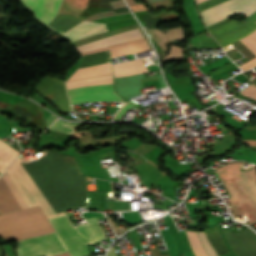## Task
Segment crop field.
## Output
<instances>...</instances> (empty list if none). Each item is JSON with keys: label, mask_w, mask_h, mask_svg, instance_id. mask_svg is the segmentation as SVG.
I'll return each mask as SVG.
<instances>
[{"label": "crop field", "mask_w": 256, "mask_h": 256, "mask_svg": "<svg viewBox=\"0 0 256 256\" xmlns=\"http://www.w3.org/2000/svg\"><path fill=\"white\" fill-rule=\"evenodd\" d=\"M56 232L16 241L19 256H50L69 252L70 256L88 255L85 244L105 239L97 217L87 218V224L73 228L67 215L49 219Z\"/></svg>", "instance_id": "8a807250"}, {"label": "crop field", "mask_w": 256, "mask_h": 256, "mask_svg": "<svg viewBox=\"0 0 256 256\" xmlns=\"http://www.w3.org/2000/svg\"><path fill=\"white\" fill-rule=\"evenodd\" d=\"M53 232L39 206L0 216V234L7 239H23Z\"/></svg>", "instance_id": "ac0d7876"}, {"label": "crop field", "mask_w": 256, "mask_h": 256, "mask_svg": "<svg viewBox=\"0 0 256 256\" xmlns=\"http://www.w3.org/2000/svg\"><path fill=\"white\" fill-rule=\"evenodd\" d=\"M76 49L81 55L109 49L111 58L151 49L140 28L90 42Z\"/></svg>", "instance_id": "34b2d1b8"}, {"label": "crop field", "mask_w": 256, "mask_h": 256, "mask_svg": "<svg viewBox=\"0 0 256 256\" xmlns=\"http://www.w3.org/2000/svg\"><path fill=\"white\" fill-rule=\"evenodd\" d=\"M255 11L256 0H230L214 8L203 11L200 14L207 27L231 15L242 14L248 17Z\"/></svg>", "instance_id": "412701ff"}, {"label": "crop field", "mask_w": 256, "mask_h": 256, "mask_svg": "<svg viewBox=\"0 0 256 256\" xmlns=\"http://www.w3.org/2000/svg\"><path fill=\"white\" fill-rule=\"evenodd\" d=\"M71 104L88 101H123L112 90V84L86 86L67 90Z\"/></svg>", "instance_id": "f4fd0767"}, {"label": "crop field", "mask_w": 256, "mask_h": 256, "mask_svg": "<svg viewBox=\"0 0 256 256\" xmlns=\"http://www.w3.org/2000/svg\"><path fill=\"white\" fill-rule=\"evenodd\" d=\"M27 208V204L6 171L0 177V214Z\"/></svg>", "instance_id": "dd49c442"}, {"label": "crop field", "mask_w": 256, "mask_h": 256, "mask_svg": "<svg viewBox=\"0 0 256 256\" xmlns=\"http://www.w3.org/2000/svg\"><path fill=\"white\" fill-rule=\"evenodd\" d=\"M236 256H256V234L250 229L231 233L229 228L222 230Z\"/></svg>", "instance_id": "e52e79f7"}, {"label": "crop field", "mask_w": 256, "mask_h": 256, "mask_svg": "<svg viewBox=\"0 0 256 256\" xmlns=\"http://www.w3.org/2000/svg\"><path fill=\"white\" fill-rule=\"evenodd\" d=\"M30 9L38 22L47 27L57 15L62 0H21Z\"/></svg>", "instance_id": "d8731c3e"}, {"label": "crop field", "mask_w": 256, "mask_h": 256, "mask_svg": "<svg viewBox=\"0 0 256 256\" xmlns=\"http://www.w3.org/2000/svg\"><path fill=\"white\" fill-rule=\"evenodd\" d=\"M106 30L108 29L105 23L90 22L84 20L61 36L73 42Z\"/></svg>", "instance_id": "5a996713"}, {"label": "crop field", "mask_w": 256, "mask_h": 256, "mask_svg": "<svg viewBox=\"0 0 256 256\" xmlns=\"http://www.w3.org/2000/svg\"><path fill=\"white\" fill-rule=\"evenodd\" d=\"M105 74H112L110 62L77 69L76 72L69 78L68 81H73V80H78V79H83V78H88L93 76H99V75H105Z\"/></svg>", "instance_id": "3316defc"}, {"label": "crop field", "mask_w": 256, "mask_h": 256, "mask_svg": "<svg viewBox=\"0 0 256 256\" xmlns=\"http://www.w3.org/2000/svg\"><path fill=\"white\" fill-rule=\"evenodd\" d=\"M112 69L114 77L126 76L147 71L142 59L114 64L112 65Z\"/></svg>", "instance_id": "28ad6ade"}, {"label": "crop field", "mask_w": 256, "mask_h": 256, "mask_svg": "<svg viewBox=\"0 0 256 256\" xmlns=\"http://www.w3.org/2000/svg\"><path fill=\"white\" fill-rule=\"evenodd\" d=\"M234 170L256 208V176L254 170L252 169L244 172L238 168Z\"/></svg>", "instance_id": "d1516ede"}, {"label": "crop field", "mask_w": 256, "mask_h": 256, "mask_svg": "<svg viewBox=\"0 0 256 256\" xmlns=\"http://www.w3.org/2000/svg\"><path fill=\"white\" fill-rule=\"evenodd\" d=\"M81 21L82 19L74 18L72 16L57 15L48 28L62 34Z\"/></svg>", "instance_id": "22f410ed"}, {"label": "crop field", "mask_w": 256, "mask_h": 256, "mask_svg": "<svg viewBox=\"0 0 256 256\" xmlns=\"http://www.w3.org/2000/svg\"><path fill=\"white\" fill-rule=\"evenodd\" d=\"M106 83H112V75H106V76L68 82L66 83V87L67 89H69V88H75V87L86 86V85L106 84Z\"/></svg>", "instance_id": "cbeb9de0"}, {"label": "crop field", "mask_w": 256, "mask_h": 256, "mask_svg": "<svg viewBox=\"0 0 256 256\" xmlns=\"http://www.w3.org/2000/svg\"><path fill=\"white\" fill-rule=\"evenodd\" d=\"M240 41L256 55V30L247 35V37L240 39ZM254 66H256V58L239 67H241L243 70H247Z\"/></svg>", "instance_id": "5142ce71"}, {"label": "crop field", "mask_w": 256, "mask_h": 256, "mask_svg": "<svg viewBox=\"0 0 256 256\" xmlns=\"http://www.w3.org/2000/svg\"><path fill=\"white\" fill-rule=\"evenodd\" d=\"M191 249L195 256H207L196 232L186 231Z\"/></svg>", "instance_id": "d9b57169"}, {"label": "crop field", "mask_w": 256, "mask_h": 256, "mask_svg": "<svg viewBox=\"0 0 256 256\" xmlns=\"http://www.w3.org/2000/svg\"><path fill=\"white\" fill-rule=\"evenodd\" d=\"M63 124L78 129L81 125H83L85 123H71V122H66V121L58 120L54 125H52L48 129L49 130H54V131H59V132H64V133H69V134H72L73 132L76 131V129L67 127V126H65Z\"/></svg>", "instance_id": "733c2abd"}, {"label": "crop field", "mask_w": 256, "mask_h": 256, "mask_svg": "<svg viewBox=\"0 0 256 256\" xmlns=\"http://www.w3.org/2000/svg\"><path fill=\"white\" fill-rule=\"evenodd\" d=\"M197 233L200 237V240H201V242L203 244V247H204L206 253L208 254V256H218V254L215 252V250L210 245L204 231H200V232H197Z\"/></svg>", "instance_id": "4a817a6b"}, {"label": "crop field", "mask_w": 256, "mask_h": 256, "mask_svg": "<svg viewBox=\"0 0 256 256\" xmlns=\"http://www.w3.org/2000/svg\"><path fill=\"white\" fill-rule=\"evenodd\" d=\"M136 103L132 102L129 100V102L125 105H123L120 110L118 111V113L115 115L114 120H120L122 114L127 111L129 108H131L133 105H135ZM125 114V113H124ZM123 114V115H124Z\"/></svg>", "instance_id": "bc2a9ffb"}, {"label": "crop field", "mask_w": 256, "mask_h": 256, "mask_svg": "<svg viewBox=\"0 0 256 256\" xmlns=\"http://www.w3.org/2000/svg\"><path fill=\"white\" fill-rule=\"evenodd\" d=\"M241 93L252 97V99L256 100V88L254 87V85H250L249 87H247L245 90H243Z\"/></svg>", "instance_id": "214f88e0"}, {"label": "crop field", "mask_w": 256, "mask_h": 256, "mask_svg": "<svg viewBox=\"0 0 256 256\" xmlns=\"http://www.w3.org/2000/svg\"><path fill=\"white\" fill-rule=\"evenodd\" d=\"M57 117H55V116H53V115H51L50 117H48L47 119H46V125H47V127L56 119Z\"/></svg>", "instance_id": "92a150f3"}, {"label": "crop field", "mask_w": 256, "mask_h": 256, "mask_svg": "<svg viewBox=\"0 0 256 256\" xmlns=\"http://www.w3.org/2000/svg\"><path fill=\"white\" fill-rule=\"evenodd\" d=\"M108 256H117V254H116V252H115L113 246H112V248L110 249V251H109V253H108Z\"/></svg>", "instance_id": "dafd665d"}, {"label": "crop field", "mask_w": 256, "mask_h": 256, "mask_svg": "<svg viewBox=\"0 0 256 256\" xmlns=\"http://www.w3.org/2000/svg\"><path fill=\"white\" fill-rule=\"evenodd\" d=\"M57 256H69L68 253L57 255Z\"/></svg>", "instance_id": "00972430"}, {"label": "crop field", "mask_w": 256, "mask_h": 256, "mask_svg": "<svg viewBox=\"0 0 256 256\" xmlns=\"http://www.w3.org/2000/svg\"><path fill=\"white\" fill-rule=\"evenodd\" d=\"M203 1H206V0H196V4L200 3V2H203Z\"/></svg>", "instance_id": "a9b5d70f"}]
</instances>
